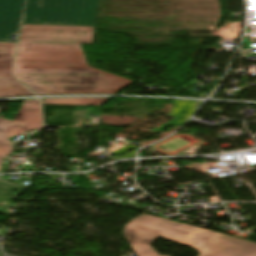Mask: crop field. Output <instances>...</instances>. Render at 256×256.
<instances>
[{"mask_svg": "<svg viewBox=\"0 0 256 256\" xmlns=\"http://www.w3.org/2000/svg\"><path fill=\"white\" fill-rule=\"evenodd\" d=\"M94 30L22 24L14 75L38 95L116 93L134 81L88 65L80 44H92Z\"/></svg>", "mask_w": 256, "mask_h": 256, "instance_id": "obj_1", "label": "crop field"}, {"mask_svg": "<svg viewBox=\"0 0 256 256\" xmlns=\"http://www.w3.org/2000/svg\"><path fill=\"white\" fill-rule=\"evenodd\" d=\"M123 234L137 256H158L147 244L158 237L191 245L199 256H256V243L148 214L128 223Z\"/></svg>", "mask_w": 256, "mask_h": 256, "instance_id": "obj_2", "label": "crop field"}, {"mask_svg": "<svg viewBox=\"0 0 256 256\" xmlns=\"http://www.w3.org/2000/svg\"><path fill=\"white\" fill-rule=\"evenodd\" d=\"M99 0H27L22 23L95 26Z\"/></svg>", "mask_w": 256, "mask_h": 256, "instance_id": "obj_3", "label": "crop field"}, {"mask_svg": "<svg viewBox=\"0 0 256 256\" xmlns=\"http://www.w3.org/2000/svg\"><path fill=\"white\" fill-rule=\"evenodd\" d=\"M42 126L41 105L39 101L23 102L13 121L0 119V155H9L12 152L8 138L18 135L29 129ZM3 157H0V164Z\"/></svg>", "mask_w": 256, "mask_h": 256, "instance_id": "obj_4", "label": "crop field"}, {"mask_svg": "<svg viewBox=\"0 0 256 256\" xmlns=\"http://www.w3.org/2000/svg\"><path fill=\"white\" fill-rule=\"evenodd\" d=\"M14 43H0V97L33 95L11 75Z\"/></svg>", "mask_w": 256, "mask_h": 256, "instance_id": "obj_5", "label": "crop field"}, {"mask_svg": "<svg viewBox=\"0 0 256 256\" xmlns=\"http://www.w3.org/2000/svg\"><path fill=\"white\" fill-rule=\"evenodd\" d=\"M24 0H0V40L10 41L18 30Z\"/></svg>", "mask_w": 256, "mask_h": 256, "instance_id": "obj_6", "label": "crop field"}, {"mask_svg": "<svg viewBox=\"0 0 256 256\" xmlns=\"http://www.w3.org/2000/svg\"><path fill=\"white\" fill-rule=\"evenodd\" d=\"M110 98L43 99V104L101 106Z\"/></svg>", "mask_w": 256, "mask_h": 256, "instance_id": "obj_7", "label": "crop field"}, {"mask_svg": "<svg viewBox=\"0 0 256 256\" xmlns=\"http://www.w3.org/2000/svg\"><path fill=\"white\" fill-rule=\"evenodd\" d=\"M4 157V156H3Z\"/></svg>", "mask_w": 256, "mask_h": 256, "instance_id": "obj_8", "label": "crop field"}]
</instances>
